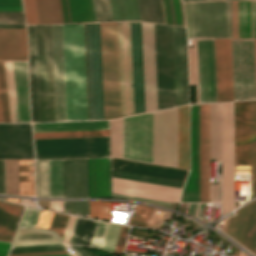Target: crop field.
Returning a JSON list of instances; mask_svg holds the SVG:
<instances>
[{
  "instance_id": "obj_20",
  "label": "crop field",
  "mask_w": 256,
  "mask_h": 256,
  "mask_svg": "<svg viewBox=\"0 0 256 256\" xmlns=\"http://www.w3.org/2000/svg\"><path fill=\"white\" fill-rule=\"evenodd\" d=\"M181 202H199V105H191V171Z\"/></svg>"
},
{
  "instance_id": "obj_68",
  "label": "crop field",
  "mask_w": 256,
  "mask_h": 256,
  "mask_svg": "<svg viewBox=\"0 0 256 256\" xmlns=\"http://www.w3.org/2000/svg\"><path fill=\"white\" fill-rule=\"evenodd\" d=\"M62 253H67V251L31 253V254H17V255H10V256H38V255H50V254H62Z\"/></svg>"
},
{
  "instance_id": "obj_42",
  "label": "crop field",
  "mask_w": 256,
  "mask_h": 256,
  "mask_svg": "<svg viewBox=\"0 0 256 256\" xmlns=\"http://www.w3.org/2000/svg\"><path fill=\"white\" fill-rule=\"evenodd\" d=\"M36 197H49L48 160L35 161Z\"/></svg>"
},
{
  "instance_id": "obj_44",
  "label": "crop field",
  "mask_w": 256,
  "mask_h": 256,
  "mask_svg": "<svg viewBox=\"0 0 256 256\" xmlns=\"http://www.w3.org/2000/svg\"><path fill=\"white\" fill-rule=\"evenodd\" d=\"M111 176L132 179V180H138V181H144V182H150V183H156V184H162V185H168V186H174V187H180V188L183 187V183H184L181 181H175V180H169V179H163V178H157V177H151V176H144V175L114 171V170H111Z\"/></svg>"
},
{
  "instance_id": "obj_27",
  "label": "crop field",
  "mask_w": 256,
  "mask_h": 256,
  "mask_svg": "<svg viewBox=\"0 0 256 256\" xmlns=\"http://www.w3.org/2000/svg\"><path fill=\"white\" fill-rule=\"evenodd\" d=\"M111 169L184 181L188 171L113 159Z\"/></svg>"
},
{
  "instance_id": "obj_37",
  "label": "crop field",
  "mask_w": 256,
  "mask_h": 256,
  "mask_svg": "<svg viewBox=\"0 0 256 256\" xmlns=\"http://www.w3.org/2000/svg\"><path fill=\"white\" fill-rule=\"evenodd\" d=\"M178 167L188 169V106L178 108Z\"/></svg>"
},
{
  "instance_id": "obj_19",
  "label": "crop field",
  "mask_w": 256,
  "mask_h": 256,
  "mask_svg": "<svg viewBox=\"0 0 256 256\" xmlns=\"http://www.w3.org/2000/svg\"><path fill=\"white\" fill-rule=\"evenodd\" d=\"M165 24L185 26L181 0H161ZM160 0H138L141 21L164 24Z\"/></svg>"
},
{
  "instance_id": "obj_77",
  "label": "crop field",
  "mask_w": 256,
  "mask_h": 256,
  "mask_svg": "<svg viewBox=\"0 0 256 256\" xmlns=\"http://www.w3.org/2000/svg\"><path fill=\"white\" fill-rule=\"evenodd\" d=\"M199 205H200V204H198V205H197V209H196L195 216H194L195 218L197 217V213H198Z\"/></svg>"
},
{
  "instance_id": "obj_40",
  "label": "crop field",
  "mask_w": 256,
  "mask_h": 256,
  "mask_svg": "<svg viewBox=\"0 0 256 256\" xmlns=\"http://www.w3.org/2000/svg\"><path fill=\"white\" fill-rule=\"evenodd\" d=\"M252 202L235 211L236 215L229 218L225 233L239 243H242Z\"/></svg>"
},
{
  "instance_id": "obj_39",
  "label": "crop field",
  "mask_w": 256,
  "mask_h": 256,
  "mask_svg": "<svg viewBox=\"0 0 256 256\" xmlns=\"http://www.w3.org/2000/svg\"><path fill=\"white\" fill-rule=\"evenodd\" d=\"M113 21H140L137 0H110Z\"/></svg>"
},
{
  "instance_id": "obj_22",
  "label": "crop field",
  "mask_w": 256,
  "mask_h": 256,
  "mask_svg": "<svg viewBox=\"0 0 256 256\" xmlns=\"http://www.w3.org/2000/svg\"><path fill=\"white\" fill-rule=\"evenodd\" d=\"M176 106L188 104L185 28L173 26Z\"/></svg>"
},
{
  "instance_id": "obj_69",
  "label": "crop field",
  "mask_w": 256,
  "mask_h": 256,
  "mask_svg": "<svg viewBox=\"0 0 256 256\" xmlns=\"http://www.w3.org/2000/svg\"><path fill=\"white\" fill-rule=\"evenodd\" d=\"M11 244L0 243V256H7Z\"/></svg>"
},
{
  "instance_id": "obj_18",
  "label": "crop field",
  "mask_w": 256,
  "mask_h": 256,
  "mask_svg": "<svg viewBox=\"0 0 256 256\" xmlns=\"http://www.w3.org/2000/svg\"><path fill=\"white\" fill-rule=\"evenodd\" d=\"M217 102L233 101L230 39H214Z\"/></svg>"
},
{
  "instance_id": "obj_50",
  "label": "crop field",
  "mask_w": 256,
  "mask_h": 256,
  "mask_svg": "<svg viewBox=\"0 0 256 256\" xmlns=\"http://www.w3.org/2000/svg\"><path fill=\"white\" fill-rule=\"evenodd\" d=\"M152 209V207L139 205L134 216L130 218L129 224L145 227Z\"/></svg>"
},
{
  "instance_id": "obj_64",
  "label": "crop field",
  "mask_w": 256,
  "mask_h": 256,
  "mask_svg": "<svg viewBox=\"0 0 256 256\" xmlns=\"http://www.w3.org/2000/svg\"><path fill=\"white\" fill-rule=\"evenodd\" d=\"M0 193L5 194L4 160H0Z\"/></svg>"
},
{
  "instance_id": "obj_17",
  "label": "crop field",
  "mask_w": 256,
  "mask_h": 256,
  "mask_svg": "<svg viewBox=\"0 0 256 256\" xmlns=\"http://www.w3.org/2000/svg\"><path fill=\"white\" fill-rule=\"evenodd\" d=\"M145 112L157 110L153 24L141 22Z\"/></svg>"
},
{
  "instance_id": "obj_28",
  "label": "crop field",
  "mask_w": 256,
  "mask_h": 256,
  "mask_svg": "<svg viewBox=\"0 0 256 256\" xmlns=\"http://www.w3.org/2000/svg\"><path fill=\"white\" fill-rule=\"evenodd\" d=\"M109 158L89 159L90 197H110Z\"/></svg>"
},
{
  "instance_id": "obj_49",
  "label": "crop field",
  "mask_w": 256,
  "mask_h": 256,
  "mask_svg": "<svg viewBox=\"0 0 256 256\" xmlns=\"http://www.w3.org/2000/svg\"><path fill=\"white\" fill-rule=\"evenodd\" d=\"M97 22L112 21L109 0H94Z\"/></svg>"
},
{
  "instance_id": "obj_2",
  "label": "crop field",
  "mask_w": 256,
  "mask_h": 256,
  "mask_svg": "<svg viewBox=\"0 0 256 256\" xmlns=\"http://www.w3.org/2000/svg\"><path fill=\"white\" fill-rule=\"evenodd\" d=\"M110 156L122 158V118L110 120ZM123 158L152 163V113L123 118Z\"/></svg>"
},
{
  "instance_id": "obj_34",
  "label": "crop field",
  "mask_w": 256,
  "mask_h": 256,
  "mask_svg": "<svg viewBox=\"0 0 256 256\" xmlns=\"http://www.w3.org/2000/svg\"><path fill=\"white\" fill-rule=\"evenodd\" d=\"M32 122H38L34 25L27 26Z\"/></svg>"
},
{
  "instance_id": "obj_32",
  "label": "crop field",
  "mask_w": 256,
  "mask_h": 256,
  "mask_svg": "<svg viewBox=\"0 0 256 256\" xmlns=\"http://www.w3.org/2000/svg\"><path fill=\"white\" fill-rule=\"evenodd\" d=\"M22 208L23 207L21 206L0 202V241H7V242L11 241V238L13 236ZM24 208H23V211H24ZM22 213H21V216H22ZM21 216H20V219H21Z\"/></svg>"
},
{
  "instance_id": "obj_38",
  "label": "crop field",
  "mask_w": 256,
  "mask_h": 256,
  "mask_svg": "<svg viewBox=\"0 0 256 256\" xmlns=\"http://www.w3.org/2000/svg\"><path fill=\"white\" fill-rule=\"evenodd\" d=\"M39 24L63 23L60 0H35Z\"/></svg>"
},
{
  "instance_id": "obj_24",
  "label": "crop field",
  "mask_w": 256,
  "mask_h": 256,
  "mask_svg": "<svg viewBox=\"0 0 256 256\" xmlns=\"http://www.w3.org/2000/svg\"><path fill=\"white\" fill-rule=\"evenodd\" d=\"M200 202H209V104L200 105Z\"/></svg>"
},
{
  "instance_id": "obj_80",
  "label": "crop field",
  "mask_w": 256,
  "mask_h": 256,
  "mask_svg": "<svg viewBox=\"0 0 256 256\" xmlns=\"http://www.w3.org/2000/svg\"><path fill=\"white\" fill-rule=\"evenodd\" d=\"M189 1H198V0H189Z\"/></svg>"
},
{
  "instance_id": "obj_81",
  "label": "crop field",
  "mask_w": 256,
  "mask_h": 256,
  "mask_svg": "<svg viewBox=\"0 0 256 256\" xmlns=\"http://www.w3.org/2000/svg\"><path fill=\"white\" fill-rule=\"evenodd\" d=\"M186 1H188V0H183V2H186Z\"/></svg>"
},
{
  "instance_id": "obj_53",
  "label": "crop field",
  "mask_w": 256,
  "mask_h": 256,
  "mask_svg": "<svg viewBox=\"0 0 256 256\" xmlns=\"http://www.w3.org/2000/svg\"><path fill=\"white\" fill-rule=\"evenodd\" d=\"M41 210L26 208L19 228L35 227Z\"/></svg>"
},
{
  "instance_id": "obj_36",
  "label": "crop field",
  "mask_w": 256,
  "mask_h": 256,
  "mask_svg": "<svg viewBox=\"0 0 256 256\" xmlns=\"http://www.w3.org/2000/svg\"><path fill=\"white\" fill-rule=\"evenodd\" d=\"M210 159H221V103L210 104Z\"/></svg>"
},
{
  "instance_id": "obj_78",
  "label": "crop field",
  "mask_w": 256,
  "mask_h": 256,
  "mask_svg": "<svg viewBox=\"0 0 256 256\" xmlns=\"http://www.w3.org/2000/svg\"><path fill=\"white\" fill-rule=\"evenodd\" d=\"M50 256H69V254H62V255H50Z\"/></svg>"
},
{
  "instance_id": "obj_46",
  "label": "crop field",
  "mask_w": 256,
  "mask_h": 256,
  "mask_svg": "<svg viewBox=\"0 0 256 256\" xmlns=\"http://www.w3.org/2000/svg\"><path fill=\"white\" fill-rule=\"evenodd\" d=\"M119 227L117 225L112 224H106L104 236L101 243V249L108 250V251H114Z\"/></svg>"
},
{
  "instance_id": "obj_51",
  "label": "crop field",
  "mask_w": 256,
  "mask_h": 256,
  "mask_svg": "<svg viewBox=\"0 0 256 256\" xmlns=\"http://www.w3.org/2000/svg\"><path fill=\"white\" fill-rule=\"evenodd\" d=\"M64 212L89 217V201H64Z\"/></svg>"
},
{
  "instance_id": "obj_13",
  "label": "crop field",
  "mask_w": 256,
  "mask_h": 256,
  "mask_svg": "<svg viewBox=\"0 0 256 256\" xmlns=\"http://www.w3.org/2000/svg\"><path fill=\"white\" fill-rule=\"evenodd\" d=\"M193 38H226L225 1L192 3Z\"/></svg>"
},
{
  "instance_id": "obj_54",
  "label": "crop field",
  "mask_w": 256,
  "mask_h": 256,
  "mask_svg": "<svg viewBox=\"0 0 256 256\" xmlns=\"http://www.w3.org/2000/svg\"><path fill=\"white\" fill-rule=\"evenodd\" d=\"M67 215H62V214H53V218L50 224V228L52 230H56L59 236L63 239V235L65 232L66 224L68 221Z\"/></svg>"
},
{
  "instance_id": "obj_62",
  "label": "crop field",
  "mask_w": 256,
  "mask_h": 256,
  "mask_svg": "<svg viewBox=\"0 0 256 256\" xmlns=\"http://www.w3.org/2000/svg\"><path fill=\"white\" fill-rule=\"evenodd\" d=\"M76 219L75 217H69V221H68V224H67V228H66V232H65V235H64V243H70V239H71V236H72V233H73V229H74V226H75V223H76Z\"/></svg>"
},
{
  "instance_id": "obj_58",
  "label": "crop field",
  "mask_w": 256,
  "mask_h": 256,
  "mask_svg": "<svg viewBox=\"0 0 256 256\" xmlns=\"http://www.w3.org/2000/svg\"><path fill=\"white\" fill-rule=\"evenodd\" d=\"M128 229L129 228H127V227H123V226L120 227V231H119V235H118V239H117V243H116L114 252L119 253V254L123 253Z\"/></svg>"
},
{
  "instance_id": "obj_16",
  "label": "crop field",
  "mask_w": 256,
  "mask_h": 256,
  "mask_svg": "<svg viewBox=\"0 0 256 256\" xmlns=\"http://www.w3.org/2000/svg\"><path fill=\"white\" fill-rule=\"evenodd\" d=\"M122 117L134 114L130 22L118 23Z\"/></svg>"
},
{
  "instance_id": "obj_71",
  "label": "crop field",
  "mask_w": 256,
  "mask_h": 256,
  "mask_svg": "<svg viewBox=\"0 0 256 256\" xmlns=\"http://www.w3.org/2000/svg\"><path fill=\"white\" fill-rule=\"evenodd\" d=\"M204 206H205V204H201V205H200V209H199V213H198V217H197L198 219H201V218H202Z\"/></svg>"
},
{
  "instance_id": "obj_67",
  "label": "crop field",
  "mask_w": 256,
  "mask_h": 256,
  "mask_svg": "<svg viewBox=\"0 0 256 256\" xmlns=\"http://www.w3.org/2000/svg\"><path fill=\"white\" fill-rule=\"evenodd\" d=\"M73 250L79 255V256H95L89 252H87L86 250L82 249L81 247L79 246H73V245H70Z\"/></svg>"
},
{
  "instance_id": "obj_60",
  "label": "crop field",
  "mask_w": 256,
  "mask_h": 256,
  "mask_svg": "<svg viewBox=\"0 0 256 256\" xmlns=\"http://www.w3.org/2000/svg\"><path fill=\"white\" fill-rule=\"evenodd\" d=\"M52 214L53 213L51 212L42 210L36 227H43L48 229L52 218Z\"/></svg>"
},
{
  "instance_id": "obj_70",
  "label": "crop field",
  "mask_w": 256,
  "mask_h": 256,
  "mask_svg": "<svg viewBox=\"0 0 256 256\" xmlns=\"http://www.w3.org/2000/svg\"><path fill=\"white\" fill-rule=\"evenodd\" d=\"M196 205L197 204H191L190 205V209H189V215H191V216H194V212H195V209H196Z\"/></svg>"
},
{
  "instance_id": "obj_43",
  "label": "crop field",
  "mask_w": 256,
  "mask_h": 256,
  "mask_svg": "<svg viewBox=\"0 0 256 256\" xmlns=\"http://www.w3.org/2000/svg\"><path fill=\"white\" fill-rule=\"evenodd\" d=\"M34 139L109 136V130L33 133Z\"/></svg>"
},
{
  "instance_id": "obj_6",
  "label": "crop field",
  "mask_w": 256,
  "mask_h": 256,
  "mask_svg": "<svg viewBox=\"0 0 256 256\" xmlns=\"http://www.w3.org/2000/svg\"><path fill=\"white\" fill-rule=\"evenodd\" d=\"M188 49L190 84H196L197 103L216 102L213 39H193Z\"/></svg>"
},
{
  "instance_id": "obj_59",
  "label": "crop field",
  "mask_w": 256,
  "mask_h": 256,
  "mask_svg": "<svg viewBox=\"0 0 256 256\" xmlns=\"http://www.w3.org/2000/svg\"><path fill=\"white\" fill-rule=\"evenodd\" d=\"M232 38H238L237 1H231Z\"/></svg>"
},
{
  "instance_id": "obj_11",
  "label": "crop field",
  "mask_w": 256,
  "mask_h": 256,
  "mask_svg": "<svg viewBox=\"0 0 256 256\" xmlns=\"http://www.w3.org/2000/svg\"><path fill=\"white\" fill-rule=\"evenodd\" d=\"M90 120L103 119L99 23L85 24Z\"/></svg>"
},
{
  "instance_id": "obj_47",
  "label": "crop field",
  "mask_w": 256,
  "mask_h": 256,
  "mask_svg": "<svg viewBox=\"0 0 256 256\" xmlns=\"http://www.w3.org/2000/svg\"><path fill=\"white\" fill-rule=\"evenodd\" d=\"M90 217L110 221V202L90 201Z\"/></svg>"
},
{
  "instance_id": "obj_33",
  "label": "crop field",
  "mask_w": 256,
  "mask_h": 256,
  "mask_svg": "<svg viewBox=\"0 0 256 256\" xmlns=\"http://www.w3.org/2000/svg\"><path fill=\"white\" fill-rule=\"evenodd\" d=\"M239 38H256V1H238Z\"/></svg>"
},
{
  "instance_id": "obj_15",
  "label": "crop field",
  "mask_w": 256,
  "mask_h": 256,
  "mask_svg": "<svg viewBox=\"0 0 256 256\" xmlns=\"http://www.w3.org/2000/svg\"><path fill=\"white\" fill-rule=\"evenodd\" d=\"M0 159H33L30 124H0Z\"/></svg>"
},
{
  "instance_id": "obj_14",
  "label": "crop field",
  "mask_w": 256,
  "mask_h": 256,
  "mask_svg": "<svg viewBox=\"0 0 256 256\" xmlns=\"http://www.w3.org/2000/svg\"><path fill=\"white\" fill-rule=\"evenodd\" d=\"M182 189L113 178L111 177V193L121 194L127 196L141 197L147 199L161 200L167 202H179V195ZM114 197L127 198L133 200L147 201L153 203H160L169 205L167 202H160L154 200L140 199L134 197L114 195Z\"/></svg>"
},
{
  "instance_id": "obj_25",
  "label": "crop field",
  "mask_w": 256,
  "mask_h": 256,
  "mask_svg": "<svg viewBox=\"0 0 256 256\" xmlns=\"http://www.w3.org/2000/svg\"><path fill=\"white\" fill-rule=\"evenodd\" d=\"M135 114L144 112L140 22H131Z\"/></svg>"
},
{
  "instance_id": "obj_76",
  "label": "crop field",
  "mask_w": 256,
  "mask_h": 256,
  "mask_svg": "<svg viewBox=\"0 0 256 256\" xmlns=\"http://www.w3.org/2000/svg\"><path fill=\"white\" fill-rule=\"evenodd\" d=\"M186 204H181L180 211L183 212Z\"/></svg>"
},
{
  "instance_id": "obj_8",
  "label": "crop field",
  "mask_w": 256,
  "mask_h": 256,
  "mask_svg": "<svg viewBox=\"0 0 256 256\" xmlns=\"http://www.w3.org/2000/svg\"><path fill=\"white\" fill-rule=\"evenodd\" d=\"M234 101L256 99L254 40L231 39Z\"/></svg>"
},
{
  "instance_id": "obj_61",
  "label": "crop field",
  "mask_w": 256,
  "mask_h": 256,
  "mask_svg": "<svg viewBox=\"0 0 256 256\" xmlns=\"http://www.w3.org/2000/svg\"><path fill=\"white\" fill-rule=\"evenodd\" d=\"M188 38H192L191 3H184Z\"/></svg>"
},
{
  "instance_id": "obj_12",
  "label": "crop field",
  "mask_w": 256,
  "mask_h": 256,
  "mask_svg": "<svg viewBox=\"0 0 256 256\" xmlns=\"http://www.w3.org/2000/svg\"><path fill=\"white\" fill-rule=\"evenodd\" d=\"M238 164H251V199L256 196V100L238 102Z\"/></svg>"
},
{
  "instance_id": "obj_5",
  "label": "crop field",
  "mask_w": 256,
  "mask_h": 256,
  "mask_svg": "<svg viewBox=\"0 0 256 256\" xmlns=\"http://www.w3.org/2000/svg\"><path fill=\"white\" fill-rule=\"evenodd\" d=\"M158 110L175 106L172 26L154 24Z\"/></svg>"
},
{
  "instance_id": "obj_21",
  "label": "crop field",
  "mask_w": 256,
  "mask_h": 256,
  "mask_svg": "<svg viewBox=\"0 0 256 256\" xmlns=\"http://www.w3.org/2000/svg\"><path fill=\"white\" fill-rule=\"evenodd\" d=\"M64 198L89 197L88 159L63 160Z\"/></svg>"
},
{
  "instance_id": "obj_74",
  "label": "crop field",
  "mask_w": 256,
  "mask_h": 256,
  "mask_svg": "<svg viewBox=\"0 0 256 256\" xmlns=\"http://www.w3.org/2000/svg\"><path fill=\"white\" fill-rule=\"evenodd\" d=\"M6 200L19 203V199H8V198H6Z\"/></svg>"
},
{
  "instance_id": "obj_10",
  "label": "crop field",
  "mask_w": 256,
  "mask_h": 256,
  "mask_svg": "<svg viewBox=\"0 0 256 256\" xmlns=\"http://www.w3.org/2000/svg\"><path fill=\"white\" fill-rule=\"evenodd\" d=\"M234 209V102L222 103V215Z\"/></svg>"
},
{
  "instance_id": "obj_79",
  "label": "crop field",
  "mask_w": 256,
  "mask_h": 256,
  "mask_svg": "<svg viewBox=\"0 0 256 256\" xmlns=\"http://www.w3.org/2000/svg\"><path fill=\"white\" fill-rule=\"evenodd\" d=\"M255 54H256V40H255Z\"/></svg>"
},
{
  "instance_id": "obj_7",
  "label": "crop field",
  "mask_w": 256,
  "mask_h": 256,
  "mask_svg": "<svg viewBox=\"0 0 256 256\" xmlns=\"http://www.w3.org/2000/svg\"><path fill=\"white\" fill-rule=\"evenodd\" d=\"M35 159L109 156V137L34 140Z\"/></svg>"
},
{
  "instance_id": "obj_1",
  "label": "crop field",
  "mask_w": 256,
  "mask_h": 256,
  "mask_svg": "<svg viewBox=\"0 0 256 256\" xmlns=\"http://www.w3.org/2000/svg\"><path fill=\"white\" fill-rule=\"evenodd\" d=\"M67 121L88 120L83 24H62Z\"/></svg>"
},
{
  "instance_id": "obj_9",
  "label": "crop field",
  "mask_w": 256,
  "mask_h": 256,
  "mask_svg": "<svg viewBox=\"0 0 256 256\" xmlns=\"http://www.w3.org/2000/svg\"><path fill=\"white\" fill-rule=\"evenodd\" d=\"M153 163L177 167V108L153 113Z\"/></svg>"
},
{
  "instance_id": "obj_73",
  "label": "crop field",
  "mask_w": 256,
  "mask_h": 256,
  "mask_svg": "<svg viewBox=\"0 0 256 256\" xmlns=\"http://www.w3.org/2000/svg\"><path fill=\"white\" fill-rule=\"evenodd\" d=\"M0 28H25V26H0Z\"/></svg>"
},
{
  "instance_id": "obj_52",
  "label": "crop field",
  "mask_w": 256,
  "mask_h": 256,
  "mask_svg": "<svg viewBox=\"0 0 256 256\" xmlns=\"http://www.w3.org/2000/svg\"><path fill=\"white\" fill-rule=\"evenodd\" d=\"M0 25H25L23 12H0Z\"/></svg>"
},
{
  "instance_id": "obj_75",
  "label": "crop field",
  "mask_w": 256,
  "mask_h": 256,
  "mask_svg": "<svg viewBox=\"0 0 256 256\" xmlns=\"http://www.w3.org/2000/svg\"><path fill=\"white\" fill-rule=\"evenodd\" d=\"M0 122H3V119H2V111H1V103H0Z\"/></svg>"
},
{
  "instance_id": "obj_55",
  "label": "crop field",
  "mask_w": 256,
  "mask_h": 256,
  "mask_svg": "<svg viewBox=\"0 0 256 256\" xmlns=\"http://www.w3.org/2000/svg\"><path fill=\"white\" fill-rule=\"evenodd\" d=\"M27 24H38L34 0H24Z\"/></svg>"
},
{
  "instance_id": "obj_65",
  "label": "crop field",
  "mask_w": 256,
  "mask_h": 256,
  "mask_svg": "<svg viewBox=\"0 0 256 256\" xmlns=\"http://www.w3.org/2000/svg\"><path fill=\"white\" fill-rule=\"evenodd\" d=\"M227 38H231L230 1H226Z\"/></svg>"
},
{
  "instance_id": "obj_23",
  "label": "crop field",
  "mask_w": 256,
  "mask_h": 256,
  "mask_svg": "<svg viewBox=\"0 0 256 256\" xmlns=\"http://www.w3.org/2000/svg\"><path fill=\"white\" fill-rule=\"evenodd\" d=\"M56 121H66L61 24L52 25Z\"/></svg>"
},
{
  "instance_id": "obj_3",
  "label": "crop field",
  "mask_w": 256,
  "mask_h": 256,
  "mask_svg": "<svg viewBox=\"0 0 256 256\" xmlns=\"http://www.w3.org/2000/svg\"><path fill=\"white\" fill-rule=\"evenodd\" d=\"M104 119L121 117L117 23H100Z\"/></svg>"
},
{
  "instance_id": "obj_72",
  "label": "crop field",
  "mask_w": 256,
  "mask_h": 256,
  "mask_svg": "<svg viewBox=\"0 0 256 256\" xmlns=\"http://www.w3.org/2000/svg\"><path fill=\"white\" fill-rule=\"evenodd\" d=\"M20 203L35 206V204H34L32 201H30V200H23V199H20Z\"/></svg>"
},
{
  "instance_id": "obj_56",
  "label": "crop field",
  "mask_w": 256,
  "mask_h": 256,
  "mask_svg": "<svg viewBox=\"0 0 256 256\" xmlns=\"http://www.w3.org/2000/svg\"><path fill=\"white\" fill-rule=\"evenodd\" d=\"M0 11H23L21 0H0Z\"/></svg>"
},
{
  "instance_id": "obj_82",
  "label": "crop field",
  "mask_w": 256,
  "mask_h": 256,
  "mask_svg": "<svg viewBox=\"0 0 256 256\" xmlns=\"http://www.w3.org/2000/svg\"><path fill=\"white\" fill-rule=\"evenodd\" d=\"M254 254H256V248H255V252H254Z\"/></svg>"
},
{
  "instance_id": "obj_41",
  "label": "crop field",
  "mask_w": 256,
  "mask_h": 256,
  "mask_svg": "<svg viewBox=\"0 0 256 256\" xmlns=\"http://www.w3.org/2000/svg\"><path fill=\"white\" fill-rule=\"evenodd\" d=\"M50 197L63 198L62 160H49Z\"/></svg>"
},
{
  "instance_id": "obj_29",
  "label": "crop field",
  "mask_w": 256,
  "mask_h": 256,
  "mask_svg": "<svg viewBox=\"0 0 256 256\" xmlns=\"http://www.w3.org/2000/svg\"><path fill=\"white\" fill-rule=\"evenodd\" d=\"M11 122H18L11 62H4ZM3 62H0V95L4 122H10Z\"/></svg>"
},
{
  "instance_id": "obj_57",
  "label": "crop field",
  "mask_w": 256,
  "mask_h": 256,
  "mask_svg": "<svg viewBox=\"0 0 256 256\" xmlns=\"http://www.w3.org/2000/svg\"><path fill=\"white\" fill-rule=\"evenodd\" d=\"M105 224L106 223L99 222V221L96 222V226H95V230H94V234H93L90 246L98 247V248L100 247Z\"/></svg>"
},
{
  "instance_id": "obj_35",
  "label": "crop field",
  "mask_w": 256,
  "mask_h": 256,
  "mask_svg": "<svg viewBox=\"0 0 256 256\" xmlns=\"http://www.w3.org/2000/svg\"><path fill=\"white\" fill-rule=\"evenodd\" d=\"M33 132L109 129V121L32 124Z\"/></svg>"
},
{
  "instance_id": "obj_4",
  "label": "crop field",
  "mask_w": 256,
  "mask_h": 256,
  "mask_svg": "<svg viewBox=\"0 0 256 256\" xmlns=\"http://www.w3.org/2000/svg\"><path fill=\"white\" fill-rule=\"evenodd\" d=\"M39 122L55 121L51 25H35Z\"/></svg>"
},
{
  "instance_id": "obj_30",
  "label": "crop field",
  "mask_w": 256,
  "mask_h": 256,
  "mask_svg": "<svg viewBox=\"0 0 256 256\" xmlns=\"http://www.w3.org/2000/svg\"><path fill=\"white\" fill-rule=\"evenodd\" d=\"M19 122H30L27 62H12Z\"/></svg>"
},
{
  "instance_id": "obj_83",
  "label": "crop field",
  "mask_w": 256,
  "mask_h": 256,
  "mask_svg": "<svg viewBox=\"0 0 256 256\" xmlns=\"http://www.w3.org/2000/svg\"><path fill=\"white\" fill-rule=\"evenodd\" d=\"M0 199H3V200H5V198H0Z\"/></svg>"
},
{
  "instance_id": "obj_45",
  "label": "crop field",
  "mask_w": 256,
  "mask_h": 256,
  "mask_svg": "<svg viewBox=\"0 0 256 256\" xmlns=\"http://www.w3.org/2000/svg\"><path fill=\"white\" fill-rule=\"evenodd\" d=\"M242 245L254 252L256 245V200L253 202Z\"/></svg>"
},
{
  "instance_id": "obj_48",
  "label": "crop field",
  "mask_w": 256,
  "mask_h": 256,
  "mask_svg": "<svg viewBox=\"0 0 256 256\" xmlns=\"http://www.w3.org/2000/svg\"><path fill=\"white\" fill-rule=\"evenodd\" d=\"M65 250L63 244L12 247L10 254Z\"/></svg>"
},
{
  "instance_id": "obj_26",
  "label": "crop field",
  "mask_w": 256,
  "mask_h": 256,
  "mask_svg": "<svg viewBox=\"0 0 256 256\" xmlns=\"http://www.w3.org/2000/svg\"><path fill=\"white\" fill-rule=\"evenodd\" d=\"M0 60H27L26 29H0Z\"/></svg>"
},
{
  "instance_id": "obj_31",
  "label": "crop field",
  "mask_w": 256,
  "mask_h": 256,
  "mask_svg": "<svg viewBox=\"0 0 256 256\" xmlns=\"http://www.w3.org/2000/svg\"><path fill=\"white\" fill-rule=\"evenodd\" d=\"M64 23L96 22L93 0H61Z\"/></svg>"
},
{
  "instance_id": "obj_66",
  "label": "crop field",
  "mask_w": 256,
  "mask_h": 256,
  "mask_svg": "<svg viewBox=\"0 0 256 256\" xmlns=\"http://www.w3.org/2000/svg\"><path fill=\"white\" fill-rule=\"evenodd\" d=\"M235 163L237 164V102H235Z\"/></svg>"
},
{
  "instance_id": "obj_63",
  "label": "crop field",
  "mask_w": 256,
  "mask_h": 256,
  "mask_svg": "<svg viewBox=\"0 0 256 256\" xmlns=\"http://www.w3.org/2000/svg\"><path fill=\"white\" fill-rule=\"evenodd\" d=\"M210 202H220L219 186H210Z\"/></svg>"
}]
</instances>
